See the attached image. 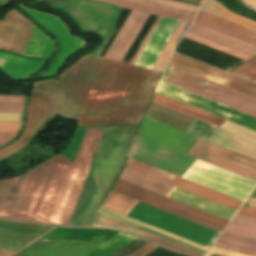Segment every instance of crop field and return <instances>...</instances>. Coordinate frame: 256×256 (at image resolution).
<instances>
[{
  "instance_id": "39",
  "label": "crop field",
  "mask_w": 256,
  "mask_h": 256,
  "mask_svg": "<svg viewBox=\"0 0 256 256\" xmlns=\"http://www.w3.org/2000/svg\"><path fill=\"white\" fill-rule=\"evenodd\" d=\"M144 16L143 13H140L139 17L137 18L136 22L134 23V25L132 26L131 30L129 31L128 35L126 36L125 40L123 41V43L121 44L120 48L118 49L116 55L114 56L113 60L116 61L117 57L119 56V54L121 53L122 49L124 48V46L126 45L127 41L129 40V38L131 37L132 33L134 32V30L136 29L137 25L139 24V22L141 21L142 17Z\"/></svg>"
},
{
  "instance_id": "17",
  "label": "crop field",
  "mask_w": 256,
  "mask_h": 256,
  "mask_svg": "<svg viewBox=\"0 0 256 256\" xmlns=\"http://www.w3.org/2000/svg\"><path fill=\"white\" fill-rule=\"evenodd\" d=\"M146 117L189 133L195 118L152 102Z\"/></svg>"
},
{
  "instance_id": "44",
  "label": "crop field",
  "mask_w": 256,
  "mask_h": 256,
  "mask_svg": "<svg viewBox=\"0 0 256 256\" xmlns=\"http://www.w3.org/2000/svg\"><path fill=\"white\" fill-rule=\"evenodd\" d=\"M147 256H185V255L173 253V252H170L166 249L159 247L156 250H154L153 252H151L150 254H148Z\"/></svg>"
},
{
  "instance_id": "50",
  "label": "crop field",
  "mask_w": 256,
  "mask_h": 256,
  "mask_svg": "<svg viewBox=\"0 0 256 256\" xmlns=\"http://www.w3.org/2000/svg\"><path fill=\"white\" fill-rule=\"evenodd\" d=\"M12 138H14V137H1L0 136V145L7 143Z\"/></svg>"
},
{
  "instance_id": "15",
  "label": "crop field",
  "mask_w": 256,
  "mask_h": 256,
  "mask_svg": "<svg viewBox=\"0 0 256 256\" xmlns=\"http://www.w3.org/2000/svg\"><path fill=\"white\" fill-rule=\"evenodd\" d=\"M168 197L193 206L195 208L201 209L223 219L230 221L236 210L228 208L226 206L220 205L218 203L212 202L205 198L199 197L197 195L191 194L189 192L183 191L178 188H174Z\"/></svg>"
},
{
  "instance_id": "11",
  "label": "crop field",
  "mask_w": 256,
  "mask_h": 256,
  "mask_svg": "<svg viewBox=\"0 0 256 256\" xmlns=\"http://www.w3.org/2000/svg\"><path fill=\"white\" fill-rule=\"evenodd\" d=\"M169 65L256 97V84L209 67L184 56L178 55L176 53L173 54Z\"/></svg>"
},
{
  "instance_id": "23",
  "label": "crop field",
  "mask_w": 256,
  "mask_h": 256,
  "mask_svg": "<svg viewBox=\"0 0 256 256\" xmlns=\"http://www.w3.org/2000/svg\"><path fill=\"white\" fill-rule=\"evenodd\" d=\"M45 35L34 27L24 55L37 58H49L54 51V44L52 40Z\"/></svg>"
},
{
  "instance_id": "22",
  "label": "crop field",
  "mask_w": 256,
  "mask_h": 256,
  "mask_svg": "<svg viewBox=\"0 0 256 256\" xmlns=\"http://www.w3.org/2000/svg\"><path fill=\"white\" fill-rule=\"evenodd\" d=\"M200 10L256 32V22L230 12L215 0H204Z\"/></svg>"
},
{
  "instance_id": "52",
  "label": "crop field",
  "mask_w": 256,
  "mask_h": 256,
  "mask_svg": "<svg viewBox=\"0 0 256 256\" xmlns=\"http://www.w3.org/2000/svg\"><path fill=\"white\" fill-rule=\"evenodd\" d=\"M17 133H3V132H0V135L1 136H16Z\"/></svg>"
},
{
  "instance_id": "46",
  "label": "crop field",
  "mask_w": 256,
  "mask_h": 256,
  "mask_svg": "<svg viewBox=\"0 0 256 256\" xmlns=\"http://www.w3.org/2000/svg\"><path fill=\"white\" fill-rule=\"evenodd\" d=\"M238 214L256 218V209L242 206V208L239 210Z\"/></svg>"
},
{
  "instance_id": "8",
  "label": "crop field",
  "mask_w": 256,
  "mask_h": 256,
  "mask_svg": "<svg viewBox=\"0 0 256 256\" xmlns=\"http://www.w3.org/2000/svg\"><path fill=\"white\" fill-rule=\"evenodd\" d=\"M24 11L30 14L43 28L50 31L58 40L61 50L57 55V59L50 64L49 70L36 78L48 77L54 75L66 62V60L75 52L82 50L86 42L83 39L69 35L66 25L61 19L40 13L18 4ZM29 15V16H30Z\"/></svg>"
},
{
  "instance_id": "36",
  "label": "crop field",
  "mask_w": 256,
  "mask_h": 256,
  "mask_svg": "<svg viewBox=\"0 0 256 256\" xmlns=\"http://www.w3.org/2000/svg\"><path fill=\"white\" fill-rule=\"evenodd\" d=\"M205 256H250V255L212 246Z\"/></svg>"
},
{
  "instance_id": "3",
  "label": "crop field",
  "mask_w": 256,
  "mask_h": 256,
  "mask_svg": "<svg viewBox=\"0 0 256 256\" xmlns=\"http://www.w3.org/2000/svg\"><path fill=\"white\" fill-rule=\"evenodd\" d=\"M139 136L165 145L185 154L197 142L198 138L144 118ZM188 155L217 165L239 175L256 181V160L201 139L189 151Z\"/></svg>"
},
{
  "instance_id": "21",
  "label": "crop field",
  "mask_w": 256,
  "mask_h": 256,
  "mask_svg": "<svg viewBox=\"0 0 256 256\" xmlns=\"http://www.w3.org/2000/svg\"><path fill=\"white\" fill-rule=\"evenodd\" d=\"M154 102L162 104V105L172 108L174 110L180 111L187 115L193 116L195 118H198V119L208 122L210 124L216 125L218 127H220L222 125V123L225 121L222 118L216 117L214 115H211L209 113L203 112L196 108L190 107L188 105H185L178 101L172 100L165 96L159 95L157 93L155 95Z\"/></svg>"
},
{
  "instance_id": "31",
  "label": "crop field",
  "mask_w": 256,
  "mask_h": 256,
  "mask_svg": "<svg viewBox=\"0 0 256 256\" xmlns=\"http://www.w3.org/2000/svg\"><path fill=\"white\" fill-rule=\"evenodd\" d=\"M224 233L256 240V229L248 226L236 224L230 222L227 228L224 230Z\"/></svg>"
},
{
  "instance_id": "32",
  "label": "crop field",
  "mask_w": 256,
  "mask_h": 256,
  "mask_svg": "<svg viewBox=\"0 0 256 256\" xmlns=\"http://www.w3.org/2000/svg\"><path fill=\"white\" fill-rule=\"evenodd\" d=\"M231 72L256 82V57L252 58Z\"/></svg>"
},
{
  "instance_id": "48",
  "label": "crop field",
  "mask_w": 256,
  "mask_h": 256,
  "mask_svg": "<svg viewBox=\"0 0 256 256\" xmlns=\"http://www.w3.org/2000/svg\"><path fill=\"white\" fill-rule=\"evenodd\" d=\"M137 1H141V2H145V3H149L152 5H156V6H160V7H164V8H168V9H172V10H177V11H182V12H186V13H190V14H196L195 12H190V11H185V10H180V9H176V8H172V7H168V6H164V5H160V4H155V3H151V2H146L143 0H137Z\"/></svg>"
},
{
  "instance_id": "27",
  "label": "crop field",
  "mask_w": 256,
  "mask_h": 256,
  "mask_svg": "<svg viewBox=\"0 0 256 256\" xmlns=\"http://www.w3.org/2000/svg\"><path fill=\"white\" fill-rule=\"evenodd\" d=\"M97 1L108 2V3L120 5V6H123V7H127V8H130V9L138 10V11H143V12L162 15V16H167V17H172V18H176V19H179V20L189 21V22H192V20H193L192 17L182 16V15H178V14H174V13H170V12H166V11H162V10H158V9H154V8H150V7H146V6H142V5L122 1V0H97Z\"/></svg>"
},
{
  "instance_id": "40",
  "label": "crop field",
  "mask_w": 256,
  "mask_h": 256,
  "mask_svg": "<svg viewBox=\"0 0 256 256\" xmlns=\"http://www.w3.org/2000/svg\"><path fill=\"white\" fill-rule=\"evenodd\" d=\"M232 222H236V223H240V224H244V225H248V226L256 228V219H254V218L236 214V216L233 218Z\"/></svg>"
},
{
  "instance_id": "4",
  "label": "crop field",
  "mask_w": 256,
  "mask_h": 256,
  "mask_svg": "<svg viewBox=\"0 0 256 256\" xmlns=\"http://www.w3.org/2000/svg\"><path fill=\"white\" fill-rule=\"evenodd\" d=\"M139 201L111 191L102 207L129 217ZM130 218L209 248L219 232L141 203Z\"/></svg>"
},
{
  "instance_id": "24",
  "label": "crop field",
  "mask_w": 256,
  "mask_h": 256,
  "mask_svg": "<svg viewBox=\"0 0 256 256\" xmlns=\"http://www.w3.org/2000/svg\"><path fill=\"white\" fill-rule=\"evenodd\" d=\"M120 179L155 191L157 193L163 194L165 196H167L170 193V191L174 188L173 186L162 183L147 176L141 175L126 168L123 170Z\"/></svg>"
},
{
  "instance_id": "37",
  "label": "crop field",
  "mask_w": 256,
  "mask_h": 256,
  "mask_svg": "<svg viewBox=\"0 0 256 256\" xmlns=\"http://www.w3.org/2000/svg\"><path fill=\"white\" fill-rule=\"evenodd\" d=\"M20 126L21 122L0 121V131L3 132H18Z\"/></svg>"
},
{
  "instance_id": "18",
  "label": "crop field",
  "mask_w": 256,
  "mask_h": 256,
  "mask_svg": "<svg viewBox=\"0 0 256 256\" xmlns=\"http://www.w3.org/2000/svg\"><path fill=\"white\" fill-rule=\"evenodd\" d=\"M97 225H103V226H109V227H116L122 230L133 232L139 236H142L144 238H147L151 241H154L158 244H161L165 247L172 248L175 250L187 252L196 256H203V253L195 251L193 249L187 248L185 246L179 245L177 243H174L172 241L166 240L164 238L158 237L156 235L150 234L148 232H145L143 230L137 229L135 227L129 226L127 224H124L122 222L116 221L114 219L108 218L106 216L100 215L97 213L95 223Z\"/></svg>"
},
{
  "instance_id": "38",
  "label": "crop field",
  "mask_w": 256,
  "mask_h": 256,
  "mask_svg": "<svg viewBox=\"0 0 256 256\" xmlns=\"http://www.w3.org/2000/svg\"><path fill=\"white\" fill-rule=\"evenodd\" d=\"M25 96L0 95V103L24 104Z\"/></svg>"
},
{
  "instance_id": "41",
  "label": "crop field",
  "mask_w": 256,
  "mask_h": 256,
  "mask_svg": "<svg viewBox=\"0 0 256 256\" xmlns=\"http://www.w3.org/2000/svg\"><path fill=\"white\" fill-rule=\"evenodd\" d=\"M24 105L0 104V112L22 113Z\"/></svg>"
},
{
  "instance_id": "34",
  "label": "crop field",
  "mask_w": 256,
  "mask_h": 256,
  "mask_svg": "<svg viewBox=\"0 0 256 256\" xmlns=\"http://www.w3.org/2000/svg\"><path fill=\"white\" fill-rule=\"evenodd\" d=\"M99 210L104 211V212H107V213L112 214V215H114V216L120 217V218L125 219V220H127V221L133 222V223L138 224V225H140V226L146 227V228L151 229V230H153V231H156V232H158V233L164 234V235L169 236V237H171V238L177 239V240H179V241H182V242H184V243L190 244V245H192V246H195V247H197V248H200V249H203V250L207 251V248H205V247L199 246V245H197V244H194V243L189 242V241H187V240L181 239V238L176 237V236H174V235H171V234H169V233H166V232H163V231L158 230V229H156V228L150 227V226H148V225H145V224L140 223V222H138V221L132 220V219H130V218H127V217L122 216V215H120V214H117V213H115V212L109 211V210L104 209V208H102V207H100Z\"/></svg>"
},
{
  "instance_id": "29",
  "label": "crop field",
  "mask_w": 256,
  "mask_h": 256,
  "mask_svg": "<svg viewBox=\"0 0 256 256\" xmlns=\"http://www.w3.org/2000/svg\"><path fill=\"white\" fill-rule=\"evenodd\" d=\"M184 37L189 38L191 40H194L196 42H199L201 44H204L206 46H209L211 48L217 49L219 51H222L224 53H227L229 55H232V56L237 57L239 59H242L244 61H246V60H248L249 58L252 57V56H249L247 54L241 53L239 51L233 50L231 48L225 47L223 45L217 44L215 42L209 41L207 39L201 38L199 36L193 35V34L188 33V32L185 33Z\"/></svg>"
},
{
  "instance_id": "43",
  "label": "crop field",
  "mask_w": 256,
  "mask_h": 256,
  "mask_svg": "<svg viewBox=\"0 0 256 256\" xmlns=\"http://www.w3.org/2000/svg\"><path fill=\"white\" fill-rule=\"evenodd\" d=\"M157 247L158 246L148 243L142 248H140L139 250H137L136 252H134L133 254H131L130 256H145L151 251H153L154 249H156Z\"/></svg>"
},
{
  "instance_id": "19",
  "label": "crop field",
  "mask_w": 256,
  "mask_h": 256,
  "mask_svg": "<svg viewBox=\"0 0 256 256\" xmlns=\"http://www.w3.org/2000/svg\"><path fill=\"white\" fill-rule=\"evenodd\" d=\"M188 32L199 35L201 37L207 38L209 40L215 41L217 43L223 44L225 46L231 47L233 49L239 50L241 52L247 53L249 55H256V46L245 43L213 29L207 28L197 23H193Z\"/></svg>"
},
{
  "instance_id": "42",
  "label": "crop field",
  "mask_w": 256,
  "mask_h": 256,
  "mask_svg": "<svg viewBox=\"0 0 256 256\" xmlns=\"http://www.w3.org/2000/svg\"><path fill=\"white\" fill-rule=\"evenodd\" d=\"M148 15L145 14L144 18L142 19V21L140 22L139 26L137 27V29L135 30L134 34L132 35V37L130 38L129 42L127 43V45L125 46L124 50L122 51V53L120 54L119 58L117 59L118 62H121L123 56L125 55L126 51L128 50L129 46L131 45L132 41L134 40V38L136 37L137 33L139 32L140 28L142 27L143 23L145 22V20L147 19Z\"/></svg>"
},
{
  "instance_id": "54",
  "label": "crop field",
  "mask_w": 256,
  "mask_h": 256,
  "mask_svg": "<svg viewBox=\"0 0 256 256\" xmlns=\"http://www.w3.org/2000/svg\"><path fill=\"white\" fill-rule=\"evenodd\" d=\"M0 23H1V21H0Z\"/></svg>"
},
{
  "instance_id": "25",
  "label": "crop field",
  "mask_w": 256,
  "mask_h": 256,
  "mask_svg": "<svg viewBox=\"0 0 256 256\" xmlns=\"http://www.w3.org/2000/svg\"><path fill=\"white\" fill-rule=\"evenodd\" d=\"M214 246L256 256V241L222 233Z\"/></svg>"
},
{
  "instance_id": "9",
  "label": "crop field",
  "mask_w": 256,
  "mask_h": 256,
  "mask_svg": "<svg viewBox=\"0 0 256 256\" xmlns=\"http://www.w3.org/2000/svg\"><path fill=\"white\" fill-rule=\"evenodd\" d=\"M158 88V89H157ZM156 92L256 131V118L159 81Z\"/></svg>"
},
{
  "instance_id": "16",
  "label": "crop field",
  "mask_w": 256,
  "mask_h": 256,
  "mask_svg": "<svg viewBox=\"0 0 256 256\" xmlns=\"http://www.w3.org/2000/svg\"><path fill=\"white\" fill-rule=\"evenodd\" d=\"M195 22L256 45V33L215 16L199 12Z\"/></svg>"
},
{
  "instance_id": "47",
  "label": "crop field",
  "mask_w": 256,
  "mask_h": 256,
  "mask_svg": "<svg viewBox=\"0 0 256 256\" xmlns=\"http://www.w3.org/2000/svg\"><path fill=\"white\" fill-rule=\"evenodd\" d=\"M251 197H255L256 198V189L252 193ZM251 197L248 198V200L245 202L244 206L256 208V199L255 198H251Z\"/></svg>"
},
{
  "instance_id": "13",
  "label": "crop field",
  "mask_w": 256,
  "mask_h": 256,
  "mask_svg": "<svg viewBox=\"0 0 256 256\" xmlns=\"http://www.w3.org/2000/svg\"><path fill=\"white\" fill-rule=\"evenodd\" d=\"M100 244L40 239L16 256H84Z\"/></svg>"
},
{
  "instance_id": "30",
  "label": "crop field",
  "mask_w": 256,
  "mask_h": 256,
  "mask_svg": "<svg viewBox=\"0 0 256 256\" xmlns=\"http://www.w3.org/2000/svg\"><path fill=\"white\" fill-rule=\"evenodd\" d=\"M138 15H139L138 12L132 11L131 15L129 16L128 20L126 21L125 25L121 29L120 33L118 34L117 38L111 45L110 49L108 50L104 58L112 60L114 54L116 53L117 49L119 48L120 44L122 43L123 39L127 35L128 31L130 30L131 26L133 25Z\"/></svg>"
},
{
  "instance_id": "53",
  "label": "crop field",
  "mask_w": 256,
  "mask_h": 256,
  "mask_svg": "<svg viewBox=\"0 0 256 256\" xmlns=\"http://www.w3.org/2000/svg\"><path fill=\"white\" fill-rule=\"evenodd\" d=\"M189 1L198 2V3L201 2V1H199V0H189Z\"/></svg>"
},
{
  "instance_id": "2",
  "label": "crop field",
  "mask_w": 256,
  "mask_h": 256,
  "mask_svg": "<svg viewBox=\"0 0 256 256\" xmlns=\"http://www.w3.org/2000/svg\"><path fill=\"white\" fill-rule=\"evenodd\" d=\"M103 128L86 129L74 161L58 155L0 182V217L71 225Z\"/></svg>"
},
{
  "instance_id": "20",
  "label": "crop field",
  "mask_w": 256,
  "mask_h": 256,
  "mask_svg": "<svg viewBox=\"0 0 256 256\" xmlns=\"http://www.w3.org/2000/svg\"><path fill=\"white\" fill-rule=\"evenodd\" d=\"M44 62L45 60H28L23 57L0 52V66L20 77H29L38 72Z\"/></svg>"
},
{
  "instance_id": "51",
  "label": "crop field",
  "mask_w": 256,
  "mask_h": 256,
  "mask_svg": "<svg viewBox=\"0 0 256 256\" xmlns=\"http://www.w3.org/2000/svg\"><path fill=\"white\" fill-rule=\"evenodd\" d=\"M248 5L256 9V0H244Z\"/></svg>"
},
{
  "instance_id": "26",
  "label": "crop field",
  "mask_w": 256,
  "mask_h": 256,
  "mask_svg": "<svg viewBox=\"0 0 256 256\" xmlns=\"http://www.w3.org/2000/svg\"><path fill=\"white\" fill-rule=\"evenodd\" d=\"M134 239L135 237L120 232L86 256H109Z\"/></svg>"
},
{
  "instance_id": "33",
  "label": "crop field",
  "mask_w": 256,
  "mask_h": 256,
  "mask_svg": "<svg viewBox=\"0 0 256 256\" xmlns=\"http://www.w3.org/2000/svg\"><path fill=\"white\" fill-rule=\"evenodd\" d=\"M126 1L134 2V3H138V4H142V5H146V6H150V7H154V8H158V9H162V10H166V11H170V12H174V13L186 14V13H182V12L172 11V10H168V9H164V8H160V7H156V6H152V5H148V4L137 2V1H133V0H126ZM147 1L156 2V3H160V4H164V5L180 8V9L195 11V12H197L198 9H199V8H196V7H192V6H197V5L188 4V3H184V2H180V1H176V0H168V1L176 2V3H181V4L192 5V6L170 3V2L163 1V0H147ZM197 7H199V6H197ZM186 15H190V14H186ZM191 16H194V15H191Z\"/></svg>"
},
{
  "instance_id": "6",
  "label": "crop field",
  "mask_w": 256,
  "mask_h": 256,
  "mask_svg": "<svg viewBox=\"0 0 256 256\" xmlns=\"http://www.w3.org/2000/svg\"><path fill=\"white\" fill-rule=\"evenodd\" d=\"M112 190L219 232H221L228 223L226 220L220 219L120 179Z\"/></svg>"
},
{
  "instance_id": "5",
  "label": "crop field",
  "mask_w": 256,
  "mask_h": 256,
  "mask_svg": "<svg viewBox=\"0 0 256 256\" xmlns=\"http://www.w3.org/2000/svg\"><path fill=\"white\" fill-rule=\"evenodd\" d=\"M161 81L256 117V98L167 66Z\"/></svg>"
},
{
  "instance_id": "7",
  "label": "crop field",
  "mask_w": 256,
  "mask_h": 256,
  "mask_svg": "<svg viewBox=\"0 0 256 256\" xmlns=\"http://www.w3.org/2000/svg\"><path fill=\"white\" fill-rule=\"evenodd\" d=\"M182 178L244 201L256 186V182L226 171L201 160L185 172Z\"/></svg>"
},
{
  "instance_id": "10",
  "label": "crop field",
  "mask_w": 256,
  "mask_h": 256,
  "mask_svg": "<svg viewBox=\"0 0 256 256\" xmlns=\"http://www.w3.org/2000/svg\"><path fill=\"white\" fill-rule=\"evenodd\" d=\"M125 167L131 170L137 171L139 173L145 174L147 176L153 177L155 179L161 180L163 182L169 183L171 185L177 178V176L175 175H172L170 173H167L165 171H162L160 169H157L155 167H152L150 165H147L145 163H142L132 158H128ZM173 185L179 188L185 189L187 191H190L192 193H195L197 195L203 196L205 198H208L210 200L221 203L228 207L234 208L236 210H238V208L242 204V201L240 200L234 199L232 197H229L219 192L205 188L198 184L184 180L180 177L177 178V180L174 182Z\"/></svg>"
},
{
  "instance_id": "1",
  "label": "crop field",
  "mask_w": 256,
  "mask_h": 256,
  "mask_svg": "<svg viewBox=\"0 0 256 256\" xmlns=\"http://www.w3.org/2000/svg\"><path fill=\"white\" fill-rule=\"evenodd\" d=\"M103 59L84 56L59 82L34 85L21 138L0 150V160L25 147L56 113L78 118ZM161 73L103 60L78 118L79 126L138 124Z\"/></svg>"
},
{
  "instance_id": "49",
  "label": "crop field",
  "mask_w": 256,
  "mask_h": 256,
  "mask_svg": "<svg viewBox=\"0 0 256 256\" xmlns=\"http://www.w3.org/2000/svg\"><path fill=\"white\" fill-rule=\"evenodd\" d=\"M17 251H11L6 249H0V256H13Z\"/></svg>"
},
{
  "instance_id": "14",
  "label": "crop field",
  "mask_w": 256,
  "mask_h": 256,
  "mask_svg": "<svg viewBox=\"0 0 256 256\" xmlns=\"http://www.w3.org/2000/svg\"><path fill=\"white\" fill-rule=\"evenodd\" d=\"M179 22L162 18L135 65L152 69Z\"/></svg>"
},
{
  "instance_id": "35",
  "label": "crop field",
  "mask_w": 256,
  "mask_h": 256,
  "mask_svg": "<svg viewBox=\"0 0 256 256\" xmlns=\"http://www.w3.org/2000/svg\"><path fill=\"white\" fill-rule=\"evenodd\" d=\"M146 243L148 242L137 238L131 243H129L128 245H126L125 247H123L122 249L112 254L111 256H128L134 251H136L137 249H139L140 247H142L143 245H145Z\"/></svg>"
},
{
  "instance_id": "12",
  "label": "crop field",
  "mask_w": 256,
  "mask_h": 256,
  "mask_svg": "<svg viewBox=\"0 0 256 256\" xmlns=\"http://www.w3.org/2000/svg\"><path fill=\"white\" fill-rule=\"evenodd\" d=\"M34 25L15 9L6 14L0 25V49L24 54Z\"/></svg>"
},
{
  "instance_id": "45",
  "label": "crop field",
  "mask_w": 256,
  "mask_h": 256,
  "mask_svg": "<svg viewBox=\"0 0 256 256\" xmlns=\"http://www.w3.org/2000/svg\"><path fill=\"white\" fill-rule=\"evenodd\" d=\"M161 18L158 17L157 21L155 22L154 26L152 27L151 31L149 32L148 36L146 37L145 41L141 45L140 49L138 50L137 54L135 55L134 59L132 60L131 64L134 65L135 61L137 60L138 56L140 55L141 51L143 50L144 46L146 45L147 41L151 37L152 33L154 32L155 28L157 27L158 23L160 22Z\"/></svg>"
},
{
  "instance_id": "28",
  "label": "crop field",
  "mask_w": 256,
  "mask_h": 256,
  "mask_svg": "<svg viewBox=\"0 0 256 256\" xmlns=\"http://www.w3.org/2000/svg\"><path fill=\"white\" fill-rule=\"evenodd\" d=\"M186 24L187 23L180 22L179 26L177 27L176 31L174 32V34L171 37L170 41L168 42L167 46L165 47V49L163 50L159 59L157 60L156 64L154 65L153 70H157V71H161V72L163 71V68H164L166 62L176 45L177 38L180 35V33L182 32V30L184 29V27L186 26Z\"/></svg>"
}]
</instances>
